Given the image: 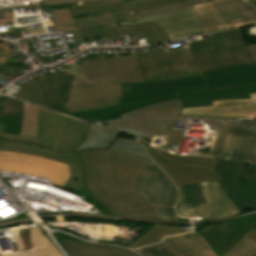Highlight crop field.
I'll return each mask as SVG.
<instances>
[{
	"label": "crop field",
	"instance_id": "obj_28",
	"mask_svg": "<svg viewBox=\"0 0 256 256\" xmlns=\"http://www.w3.org/2000/svg\"><path fill=\"white\" fill-rule=\"evenodd\" d=\"M37 108L23 103L21 135L36 137Z\"/></svg>",
	"mask_w": 256,
	"mask_h": 256
},
{
	"label": "crop field",
	"instance_id": "obj_3",
	"mask_svg": "<svg viewBox=\"0 0 256 256\" xmlns=\"http://www.w3.org/2000/svg\"><path fill=\"white\" fill-rule=\"evenodd\" d=\"M188 43L208 89L256 83V62L249 46L244 44L240 28Z\"/></svg>",
	"mask_w": 256,
	"mask_h": 256
},
{
	"label": "crop field",
	"instance_id": "obj_30",
	"mask_svg": "<svg viewBox=\"0 0 256 256\" xmlns=\"http://www.w3.org/2000/svg\"><path fill=\"white\" fill-rule=\"evenodd\" d=\"M54 27L57 32L73 31V21L70 16L69 9L50 10Z\"/></svg>",
	"mask_w": 256,
	"mask_h": 256
},
{
	"label": "crop field",
	"instance_id": "obj_37",
	"mask_svg": "<svg viewBox=\"0 0 256 256\" xmlns=\"http://www.w3.org/2000/svg\"><path fill=\"white\" fill-rule=\"evenodd\" d=\"M180 117H198V118L225 120V121H229L232 119L249 118V117H219V116H203V115H181Z\"/></svg>",
	"mask_w": 256,
	"mask_h": 256
},
{
	"label": "crop field",
	"instance_id": "obj_20",
	"mask_svg": "<svg viewBox=\"0 0 256 256\" xmlns=\"http://www.w3.org/2000/svg\"><path fill=\"white\" fill-rule=\"evenodd\" d=\"M22 120V103L9 99L7 97H0V124L4 125L3 131L6 133H13L20 135Z\"/></svg>",
	"mask_w": 256,
	"mask_h": 256
},
{
	"label": "crop field",
	"instance_id": "obj_2",
	"mask_svg": "<svg viewBox=\"0 0 256 256\" xmlns=\"http://www.w3.org/2000/svg\"><path fill=\"white\" fill-rule=\"evenodd\" d=\"M2 127L0 150L66 163L70 178L65 188H84L115 216L158 219L134 190L144 166L155 164L110 148L71 153L82 142L88 124L38 108L37 138L1 133Z\"/></svg>",
	"mask_w": 256,
	"mask_h": 256
},
{
	"label": "crop field",
	"instance_id": "obj_11",
	"mask_svg": "<svg viewBox=\"0 0 256 256\" xmlns=\"http://www.w3.org/2000/svg\"><path fill=\"white\" fill-rule=\"evenodd\" d=\"M119 84L88 83L75 78L66 104L69 112L119 104Z\"/></svg>",
	"mask_w": 256,
	"mask_h": 256
},
{
	"label": "crop field",
	"instance_id": "obj_13",
	"mask_svg": "<svg viewBox=\"0 0 256 256\" xmlns=\"http://www.w3.org/2000/svg\"><path fill=\"white\" fill-rule=\"evenodd\" d=\"M151 21H156L171 40L202 32L193 10L141 20L125 21L119 24L127 25Z\"/></svg>",
	"mask_w": 256,
	"mask_h": 256
},
{
	"label": "crop field",
	"instance_id": "obj_12",
	"mask_svg": "<svg viewBox=\"0 0 256 256\" xmlns=\"http://www.w3.org/2000/svg\"><path fill=\"white\" fill-rule=\"evenodd\" d=\"M135 190L148 204L174 206L177 198L176 188L157 166L145 167Z\"/></svg>",
	"mask_w": 256,
	"mask_h": 256
},
{
	"label": "crop field",
	"instance_id": "obj_26",
	"mask_svg": "<svg viewBox=\"0 0 256 256\" xmlns=\"http://www.w3.org/2000/svg\"><path fill=\"white\" fill-rule=\"evenodd\" d=\"M239 221L240 219L215 226L204 227L203 229L199 230L198 233L211 247L224 239L235 228Z\"/></svg>",
	"mask_w": 256,
	"mask_h": 256
},
{
	"label": "crop field",
	"instance_id": "obj_32",
	"mask_svg": "<svg viewBox=\"0 0 256 256\" xmlns=\"http://www.w3.org/2000/svg\"><path fill=\"white\" fill-rule=\"evenodd\" d=\"M184 132L180 131H171V130H156L154 136H158L160 138L166 139L167 144L162 146L161 148L169 151L171 148L175 149L176 154L178 146L180 144L181 138Z\"/></svg>",
	"mask_w": 256,
	"mask_h": 256
},
{
	"label": "crop field",
	"instance_id": "obj_36",
	"mask_svg": "<svg viewBox=\"0 0 256 256\" xmlns=\"http://www.w3.org/2000/svg\"><path fill=\"white\" fill-rule=\"evenodd\" d=\"M144 251L154 255V256H172L169 252L163 249L159 244L141 248Z\"/></svg>",
	"mask_w": 256,
	"mask_h": 256
},
{
	"label": "crop field",
	"instance_id": "obj_22",
	"mask_svg": "<svg viewBox=\"0 0 256 256\" xmlns=\"http://www.w3.org/2000/svg\"><path fill=\"white\" fill-rule=\"evenodd\" d=\"M118 135L119 133L107 130L104 127L89 124L83 142L73 152L90 149H106Z\"/></svg>",
	"mask_w": 256,
	"mask_h": 256
},
{
	"label": "crop field",
	"instance_id": "obj_38",
	"mask_svg": "<svg viewBox=\"0 0 256 256\" xmlns=\"http://www.w3.org/2000/svg\"><path fill=\"white\" fill-rule=\"evenodd\" d=\"M124 1H126V0H114V1H106V2L76 4V5H71V8L75 9V8L85 7V6L102 5V4H107V3H117V2H124Z\"/></svg>",
	"mask_w": 256,
	"mask_h": 256
},
{
	"label": "crop field",
	"instance_id": "obj_40",
	"mask_svg": "<svg viewBox=\"0 0 256 256\" xmlns=\"http://www.w3.org/2000/svg\"><path fill=\"white\" fill-rule=\"evenodd\" d=\"M236 122L256 126V121H248V119L237 120Z\"/></svg>",
	"mask_w": 256,
	"mask_h": 256
},
{
	"label": "crop field",
	"instance_id": "obj_17",
	"mask_svg": "<svg viewBox=\"0 0 256 256\" xmlns=\"http://www.w3.org/2000/svg\"><path fill=\"white\" fill-rule=\"evenodd\" d=\"M154 226V225H153ZM181 229L172 226L155 225L142 236H140L135 242H133L129 248L135 249L155 243H159L163 248L169 251L174 256H186L175 245H173L165 236L181 233Z\"/></svg>",
	"mask_w": 256,
	"mask_h": 256
},
{
	"label": "crop field",
	"instance_id": "obj_5",
	"mask_svg": "<svg viewBox=\"0 0 256 256\" xmlns=\"http://www.w3.org/2000/svg\"><path fill=\"white\" fill-rule=\"evenodd\" d=\"M256 92V84L207 90L206 85L178 90V100L156 104L137 109L121 116V119L132 117H177L181 108H192L212 105L211 101L250 98L248 93Z\"/></svg>",
	"mask_w": 256,
	"mask_h": 256
},
{
	"label": "crop field",
	"instance_id": "obj_41",
	"mask_svg": "<svg viewBox=\"0 0 256 256\" xmlns=\"http://www.w3.org/2000/svg\"><path fill=\"white\" fill-rule=\"evenodd\" d=\"M199 255H200V256H215V255L213 254V252L210 250V248L207 249V250H205V251H203V252H201V253H199Z\"/></svg>",
	"mask_w": 256,
	"mask_h": 256
},
{
	"label": "crop field",
	"instance_id": "obj_10",
	"mask_svg": "<svg viewBox=\"0 0 256 256\" xmlns=\"http://www.w3.org/2000/svg\"><path fill=\"white\" fill-rule=\"evenodd\" d=\"M208 203L188 208L180 187L179 198L176 203V213L187 217H202V220L224 218L241 213L229 200L218 181L199 183Z\"/></svg>",
	"mask_w": 256,
	"mask_h": 256
},
{
	"label": "crop field",
	"instance_id": "obj_21",
	"mask_svg": "<svg viewBox=\"0 0 256 256\" xmlns=\"http://www.w3.org/2000/svg\"><path fill=\"white\" fill-rule=\"evenodd\" d=\"M226 133L252 137L246 162L256 164V130L247 128V127L238 126V125H233V124L222 123L218 132L215 151L213 156L215 157L221 156Z\"/></svg>",
	"mask_w": 256,
	"mask_h": 256
},
{
	"label": "crop field",
	"instance_id": "obj_24",
	"mask_svg": "<svg viewBox=\"0 0 256 256\" xmlns=\"http://www.w3.org/2000/svg\"><path fill=\"white\" fill-rule=\"evenodd\" d=\"M252 228L256 229V216L241 219L236 228L223 241L212 247V250L216 253L217 256L225 254Z\"/></svg>",
	"mask_w": 256,
	"mask_h": 256
},
{
	"label": "crop field",
	"instance_id": "obj_7",
	"mask_svg": "<svg viewBox=\"0 0 256 256\" xmlns=\"http://www.w3.org/2000/svg\"><path fill=\"white\" fill-rule=\"evenodd\" d=\"M145 148L149 156L168 174L175 185L220 179L213 171L217 158L176 156L148 146Z\"/></svg>",
	"mask_w": 256,
	"mask_h": 256
},
{
	"label": "crop field",
	"instance_id": "obj_23",
	"mask_svg": "<svg viewBox=\"0 0 256 256\" xmlns=\"http://www.w3.org/2000/svg\"><path fill=\"white\" fill-rule=\"evenodd\" d=\"M167 238L172 243H174L187 256H199L197 254L198 252L208 248L205 242L199 236H197L193 231L185 232L178 235L168 236ZM142 250L136 249L135 251L145 256H152Z\"/></svg>",
	"mask_w": 256,
	"mask_h": 256
},
{
	"label": "crop field",
	"instance_id": "obj_4",
	"mask_svg": "<svg viewBox=\"0 0 256 256\" xmlns=\"http://www.w3.org/2000/svg\"><path fill=\"white\" fill-rule=\"evenodd\" d=\"M194 9L205 34L231 27L256 24V9L242 0H194L168 6L128 12L129 20ZM199 35V34H196ZM194 36V35H193Z\"/></svg>",
	"mask_w": 256,
	"mask_h": 256
},
{
	"label": "crop field",
	"instance_id": "obj_6",
	"mask_svg": "<svg viewBox=\"0 0 256 256\" xmlns=\"http://www.w3.org/2000/svg\"><path fill=\"white\" fill-rule=\"evenodd\" d=\"M71 16L78 38L137 35L138 38L146 37L147 44L168 41L155 22L119 26L120 21L128 20L127 10L77 20L71 11Z\"/></svg>",
	"mask_w": 256,
	"mask_h": 256
},
{
	"label": "crop field",
	"instance_id": "obj_31",
	"mask_svg": "<svg viewBox=\"0 0 256 256\" xmlns=\"http://www.w3.org/2000/svg\"><path fill=\"white\" fill-rule=\"evenodd\" d=\"M180 187L189 207L206 202L198 183L183 185Z\"/></svg>",
	"mask_w": 256,
	"mask_h": 256
},
{
	"label": "crop field",
	"instance_id": "obj_8",
	"mask_svg": "<svg viewBox=\"0 0 256 256\" xmlns=\"http://www.w3.org/2000/svg\"><path fill=\"white\" fill-rule=\"evenodd\" d=\"M214 171L224 191L241 211L256 208V165L219 159Z\"/></svg>",
	"mask_w": 256,
	"mask_h": 256
},
{
	"label": "crop field",
	"instance_id": "obj_43",
	"mask_svg": "<svg viewBox=\"0 0 256 256\" xmlns=\"http://www.w3.org/2000/svg\"><path fill=\"white\" fill-rule=\"evenodd\" d=\"M246 2L256 7V0H247Z\"/></svg>",
	"mask_w": 256,
	"mask_h": 256
},
{
	"label": "crop field",
	"instance_id": "obj_15",
	"mask_svg": "<svg viewBox=\"0 0 256 256\" xmlns=\"http://www.w3.org/2000/svg\"><path fill=\"white\" fill-rule=\"evenodd\" d=\"M168 120L134 119L108 123V127L136 137L152 140L155 129H166Z\"/></svg>",
	"mask_w": 256,
	"mask_h": 256
},
{
	"label": "crop field",
	"instance_id": "obj_27",
	"mask_svg": "<svg viewBox=\"0 0 256 256\" xmlns=\"http://www.w3.org/2000/svg\"><path fill=\"white\" fill-rule=\"evenodd\" d=\"M256 254V230L252 229L224 256H253Z\"/></svg>",
	"mask_w": 256,
	"mask_h": 256
},
{
	"label": "crop field",
	"instance_id": "obj_1",
	"mask_svg": "<svg viewBox=\"0 0 256 256\" xmlns=\"http://www.w3.org/2000/svg\"><path fill=\"white\" fill-rule=\"evenodd\" d=\"M149 50L78 66L89 82L120 83V105L69 113L64 104L74 76L62 71L26 83L15 97L84 121L103 122L143 106L178 99L175 90L206 84L188 45L164 52L157 47Z\"/></svg>",
	"mask_w": 256,
	"mask_h": 256
},
{
	"label": "crop field",
	"instance_id": "obj_35",
	"mask_svg": "<svg viewBox=\"0 0 256 256\" xmlns=\"http://www.w3.org/2000/svg\"><path fill=\"white\" fill-rule=\"evenodd\" d=\"M106 1V0H46L45 6L67 5L85 2Z\"/></svg>",
	"mask_w": 256,
	"mask_h": 256
},
{
	"label": "crop field",
	"instance_id": "obj_33",
	"mask_svg": "<svg viewBox=\"0 0 256 256\" xmlns=\"http://www.w3.org/2000/svg\"><path fill=\"white\" fill-rule=\"evenodd\" d=\"M159 219H168V220H179L174 212V208L169 207H158L151 206Z\"/></svg>",
	"mask_w": 256,
	"mask_h": 256
},
{
	"label": "crop field",
	"instance_id": "obj_42",
	"mask_svg": "<svg viewBox=\"0 0 256 256\" xmlns=\"http://www.w3.org/2000/svg\"><path fill=\"white\" fill-rule=\"evenodd\" d=\"M249 46H250L252 54L256 60V45H249Z\"/></svg>",
	"mask_w": 256,
	"mask_h": 256
},
{
	"label": "crop field",
	"instance_id": "obj_39",
	"mask_svg": "<svg viewBox=\"0 0 256 256\" xmlns=\"http://www.w3.org/2000/svg\"><path fill=\"white\" fill-rule=\"evenodd\" d=\"M0 70H5V71H17L18 66H5V65H0Z\"/></svg>",
	"mask_w": 256,
	"mask_h": 256
},
{
	"label": "crop field",
	"instance_id": "obj_25",
	"mask_svg": "<svg viewBox=\"0 0 256 256\" xmlns=\"http://www.w3.org/2000/svg\"><path fill=\"white\" fill-rule=\"evenodd\" d=\"M250 139L248 137L226 134L221 158L244 162Z\"/></svg>",
	"mask_w": 256,
	"mask_h": 256
},
{
	"label": "crop field",
	"instance_id": "obj_9",
	"mask_svg": "<svg viewBox=\"0 0 256 256\" xmlns=\"http://www.w3.org/2000/svg\"><path fill=\"white\" fill-rule=\"evenodd\" d=\"M0 169L45 177L59 186H64L69 177L66 164L16 152L0 151Z\"/></svg>",
	"mask_w": 256,
	"mask_h": 256
},
{
	"label": "crop field",
	"instance_id": "obj_29",
	"mask_svg": "<svg viewBox=\"0 0 256 256\" xmlns=\"http://www.w3.org/2000/svg\"><path fill=\"white\" fill-rule=\"evenodd\" d=\"M110 148L117 149L126 153H130L151 161V159L147 156L144 148L137 141L117 138L112 143Z\"/></svg>",
	"mask_w": 256,
	"mask_h": 256
},
{
	"label": "crop field",
	"instance_id": "obj_14",
	"mask_svg": "<svg viewBox=\"0 0 256 256\" xmlns=\"http://www.w3.org/2000/svg\"><path fill=\"white\" fill-rule=\"evenodd\" d=\"M249 95L251 99L213 102L214 106L184 109L182 114L256 117V93Z\"/></svg>",
	"mask_w": 256,
	"mask_h": 256
},
{
	"label": "crop field",
	"instance_id": "obj_34",
	"mask_svg": "<svg viewBox=\"0 0 256 256\" xmlns=\"http://www.w3.org/2000/svg\"><path fill=\"white\" fill-rule=\"evenodd\" d=\"M35 256H62L54 245H49L43 248L34 250Z\"/></svg>",
	"mask_w": 256,
	"mask_h": 256
},
{
	"label": "crop field",
	"instance_id": "obj_18",
	"mask_svg": "<svg viewBox=\"0 0 256 256\" xmlns=\"http://www.w3.org/2000/svg\"><path fill=\"white\" fill-rule=\"evenodd\" d=\"M17 241L15 251L0 256H33L32 249L49 243L37 225L17 228Z\"/></svg>",
	"mask_w": 256,
	"mask_h": 256
},
{
	"label": "crop field",
	"instance_id": "obj_16",
	"mask_svg": "<svg viewBox=\"0 0 256 256\" xmlns=\"http://www.w3.org/2000/svg\"><path fill=\"white\" fill-rule=\"evenodd\" d=\"M184 1H189V0H128V2H124V3L85 7V8L75 9L72 11L75 16L84 15V14H88V16H92V15L103 14V13H108L112 11L124 10V9H128V11H130V10H137V9L179 3Z\"/></svg>",
	"mask_w": 256,
	"mask_h": 256
},
{
	"label": "crop field",
	"instance_id": "obj_19",
	"mask_svg": "<svg viewBox=\"0 0 256 256\" xmlns=\"http://www.w3.org/2000/svg\"><path fill=\"white\" fill-rule=\"evenodd\" d=\"M71 256H138L126 249L77 241L62 240Z\"/></svg>",
	"mask_w": 256,
	"mask_h": 256
}]
</instances>
